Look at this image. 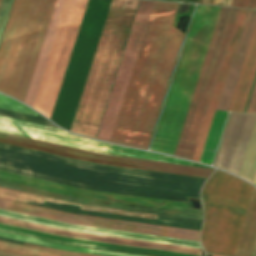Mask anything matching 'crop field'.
<instances>
[{
  "mask_svg": "<svg viewBox=\"0 0 256 256\" xmlns=\"http://www.w3.org/2000/svg\"><path fill=\"white\" fill-rule=\"evenodd\" d=\"M0 256H20V255H15V254H10V253L0 251Z\"/></svg>",
  "mask_w": 256,
  "mask_h": 256,
  "instance_id": "750c4746",
  "label": "crop field"
},
{
  "mask_svg": "<svg viewBox=\"0 0 256 256\" xmlns=\"http://www.w3.org/2000/svg\"><path fill=\"white\" fill-rule=\"evenodd\" d=\"M256 70V27L228 111L242 112Z\"/></svg>",
  "mask_w": 256,
  "mask_h": 256,
  "instance_id": "4a817a6b",
  "label": "crop field"
},
{
  "mask_svg": "<svg viewBox=\"0 0 256 256\" xmlns=\"http://www.w3.org/2000/svg\"><path fill=\"white\" fill-rule=\"evenodd\" d=\"M0 197L11 199V200H16V201H20L21 199H24V200L34 202L35 200H38V201L59 204V205H64V206H69V207H74V208H80V209L117 213V214L146 217V218H153V219H156L158 216V215H154V214H146V213H138V212H130V211H122V210L76 205V204L58 201V200H54V199H49V198H44V197L26 194V193H22V192H17V191H13V190H8V189H4V188H0ZM24 200H21V202L35 204V205L44 206V207H49V208L58 209V210H63V211L72 212V213L120 219V220H127V221H134V222H141V223H148V224H155V225H162V226H169V227H176V228H183V229H190V230H197V231H200L201 224H202V222H199V221L180 219V218H174V217H168V216H162V215H159L157 220H153V219L116 215V214H109V213H102V212H95V211L80 210V209H74V208L53 205V204H48V203H43V202H38V201H36L35 203H32V202H28V201H24Z\"/></svg>",
  "mask_w": 256,
  "mask_h": 256,
  "instance_id": "22f410ed",
  "label": "crop field"
},
{
  "mask_svg": "<svg viewBox=\"0 0 256 256\" xmlns=\"http://www.w3.org/2000/svg\"><path fill=\"white\" fill-rule=\"evenodd\" d=\"M0 209H5L9 211H14L18 213H23L27 215H32L36 217H41V218L73 224V225L89 226V227H96V228L112 229V230H119V231H127V232H135V233H142V234H150V235L199 241L198 239L199 232L197 231L78 215V214H72V213L17 203L13 201L4 200V199H0Z\"/></svg>",
  "mask_w": 256,
  "mask_h": 256,
  "instance_id": "28ad6ade",
  "label": "crop field"
},
{
  "mask_svg": "<svg viewBox=\"0 0 256 256\" xmlns=\"http://www.w3.org/2000/svg\"><path fill=\"white\" fill-rule=\"evenodd\" d=\"M0 250L15 253V254H20L24 256H70V255L56 254V253L37 250L33 248L23 247V246L6 243L2 241H0Z\"/></svg>",
  "mask_w": 256,
  "mask_h": 256,
  "instance_id": "dafd665d",
  "label": "crop field"
},
{
  "mask_svg": "<svg viewBox=\"0 0 256 256\" xmlns=\"http://www.w3.org/2000/svg\"><path fill=\"white\" fill-rule=\"evenodd\" d=\"M0 181L10 182L14 184H19L23 186H28L32 188L42 189L46 191H51L55 193H60L64 195L74 196L84 199L100 200L107 202L123 203L130 205L154 207L161 209L177 210L184 212L200 213L202 211L188 209L187 204L176 203L162 200H154L140 197H132L118 194H110L96 191L82 190L78 188L68 187L64 185H59L55 183L45 182L41 180H36L32 178L22 177L18 175L8 174L0 172Z\"/></svg>",
  "mask_w": 256,
  "mask_h": 256,
  "instance_id": "cbeb9de0",
  "label": "crop field"
},
{
  "mask_svg": "<svg viewBox=\"0 0 256 256\" xmlns=\"http://www.w3.org/2000/svg\"><path fill=\"white\" fill-rule=\"evenodd\" d=\"M0 132L23 136L45 142L55 143L77 149L87 150L106 155H114L128 158L166 162L191 166V162L168 158L138 150L128 149L119 146L102 144L90 141L75 135L68 134L60 129L28 123L15 119L0 116ZM0 133V142L32 148L45 152L69 156L96 163L117 165L138 169H146L160 172H168L189 176L207 178L213 170L201 169L188 166H180L166 163L128 159L114 156L100 155L87 151L77 150L55 144L45 143L23 137Z\"/></svg>",
  "mask_w": 256,
  "mask_h": 256,
  "instance_id": "34b2d1b8",
  "label": "crop field"
},
{
  "mask_svg": "<svg viewBox=\"0 0 256 256\" xmlns=\"http://www.w3.org/2000/svg\"><path fill=\"white\" fill-rule=\"evenodd\" d=\"M0 236L6 237V238H11V239H16V240H20V241L30 242V243H34V244H39V245H43V246L53 247V248H57V249H63V250H71V251H78V252H85V253L108 255V256H138V255L124 254V253H116V252H109V251H102V250H94V249L59 245V244H55V243L45 242V241H41V240L22 237V236L13 235V234L4 233V232H0Z\"/></svg>",
  "mask_w": 256,
  "mask_h": 256,
  "instance_id": "92a150f3",
  "label": "crop field"
},
{
  "mask_svg": "<svg viewBox=\"0 0 256 256\" xmlns=\"http://www.w3.org/2000/svg\"><path fill=\"white\" fill-rule=\"evenodd\" d=\"M0 171L88 190L186 202L205 180L105 166L0 144Z\"/></svg>",
  "mask_w": 256,
  "mask_h": 256,
  "instance_id": "8a807250",
  "label": "crop field"
},
{
  "mask_svg": "<svg viewBox=\"0 0 256 256\" xmlns=\"http://www.w3.org/2000/svg\"><path fill=\"white\" fill-rule=\"evenodd\" d=\"M253 186L216 170L201 197L205 220L201 241L205 252L235 256Z\"/></svg>",
  "mask_w": 256,
  "mask_h": 256,
  "instance_id": "d8731c3e",
  "label": "crop field"
},
{
  "mask_svg": "<svg viewBox=\"0 0 256 256\" xmlns=\"http://www.w3.org/2000/svg\"><path fill=\"white\" fill-rule=\"evenodd\" d=\"M0 107L5 108V109L14 110V111H19V112H24V113H28V114L37 115V113L33 112L32 110H30L26 106H24V105H22L18 102H15L11 99H8V98H6L2 95H0Z\"/></svg>",
  "mask_w": 256,
  "mask_h": 256,
  "instance_id": "a9b5d70f",
  "label": "crop field"
},
{
  "mask_svg": "<svg viewBox=\"0 0 256 256\" xmlns=\"http://www.w3.org/2000/svg\"><path fill=\"white\" fill-rule=\"evenodd\" d=\"M255 24L256 11L249 10L217 110H228Z\"/></svg>",
  "mask_w": 256,
  "mask_h": 256,
  "instance_id": "d9b57169",
  "label": "crop field"
},
{
  "mask_svg": "<svg viewBox=\"0 0 256 256\" xmlns=\"http://www.w3.org/2000/svg\"><path fill=\"white\" fill-rule=\"evenodd\" d=\"M0 240L6 241V242H11V243H16V244H20V245H26L25 242H20V241L5 239V238H0ZM27 246L38 248V249H43V250H47V251H52V252H56V253H62V254H70V255H77V256H100V255H93V254H85V253L57 250V249L43 247V246L29 244V243L27 244Z\"/></svg>",
  "mask_w": 256,
  "mask_h": 256,
  "instance_id": "4177f3b9",
  "label": "crop field"
},
{
  "mask_svg": "<svg viewBox=\"0 0 256 256\" xmlns=\"http://www.w3.org/2000/svg\"><path fill=\"white\" fill-rule=\"evenodd\" d=\"M0 186L17 189V190H21V191H26V192H31V193H35V194H40V195H44V196H49V197H53V198L63 199V200H67V201H72V202H76V203H82V204L119 208V209L133 210V211H141V212L170 215V216H177V217H184V218H192V219H199V220H202V217H203V215H200V214H192V213H184V212H177V211H169V210H161V209H154V208H146V207H138V206H130V205H123V204H115V203L78 199V198H74V197L64 196V195H60V194H55V193L46 192V191H42V190L32 189V188L23 187V186L14 185V184H9V183H5V182H0Z\"/></svg>",
  "mask_w": 256,
  "mask_h": 256,
  "instance_id": "733c2abd",
  "label": "crop field"
},
{
  "mask_svg": "<svg viewBox=\"0 0 256 256\" xmlns=\"http://www.w3.org/2000/svg\"><path fill=\"white\" fill-rule=\"evenodd\" d=\"M247 11L248 10H244V9L239 10L237 20H236V23H235V26H234V29H233V32L231 35V39H230V42H229V45H228V48H227V51L225 54V58H224V61H223V64H222V67H221V70L219 73V77H218V80H217V83H216V86H215V89L213 92V96H212V99H211V102H210V105H209V108L207 111V115H206L202 130H201V134H200V137H199L196 149H195V153H194V156L192 159L194 161H198V162L200 161L201 154H202V151H203V148L205 145V141H206V138H207V135L209 132V128H210V125H211V122L213 119V115H214V112H215V109H216V106H217V103H218V100H219V97H220V94H221V91L223 88V84H224V81H225V78H226V75H227V72H228V69H229L235 48H236V45H237V42L239 39V36H240V32H241Z\"/></svg>",
  "mask_w": 256,
  "mask_h": 256,
  "instance_id": "5142ce71",
  "label": "crop field"
},
{
  "mask_svg": "<svg viewBox=\"0 0 256 256\" xmlns=\"http://www.w3.org/2000/svg\"><path fill=\"white\" fill-rule=\"evenodd\" d=\"M178 5L154 3L112 142L147 148L184 35L172 26Z\"/></svg>",
  "mask_w": 256,
  "mask_h": 256,
  "instance_id": "ac0d7876",
  "label": "crop field"
},
{
  "mask_svg": "<svg viewBox=\"0 0 256 256\" xmlns=\"http://www.w3.org/2000/svg\"><path fill=\"white\" fill-rule=\"evenodd\" d=\"M227 112L216 111L202 154L201 163L211 165Z\"/></svg>",
  "mask_w": 256,
  "mask_h": 256,
  "instance_id": "214f88e0",
  "label": "crop field"
},
{
  "mask_svg": "<svg viewBox=\"0 0 256 256\" xmlns=\"http://www.w3.org/2000/svg\"><path fill=\"white\" fill-rule=\"evenodd\" d=\"M66 0H56L24 103L33 106ZM87 0H67L33 108L50 118Z\"/></svg>",
  "mask_w": 256,
  "mask_h": 256,
  "instance_id": "e52e79f7",
  "label": "crop field"
},
{
  "mask_svg": "<svg viewBox=\"0 0 256 256\" xmlns=\"http://www.w3.org/2000/svg\"><path fill=\"white\" fill-rule=\"evenodd\" d=\"M256 244V189L253 188L236 256H252Z\"/></svg>",
  "mask_w": 256,
  "mask_h": 256,
  "instance_id": "bc2a9ffb",
  "label": "crop field"
},
{
  "mask_svg": "<svg viewBox=\"0 0 256 256\" xmlns=\"http://www.w3.org/2000/svg\"><path fill=\"white\" fill-rule=\"evenodd\" d=\"M253 256H256V248H255V252H254V255Z\"/></svg>",
  "mask_w": 256,
  "mask_h": 256,
  "instance_id": "bd1437ed",
  "label": "crop field"
},
{
  "mask_svg": "<svg viewBox=\"0 0 256 256\" xmlns=\"http://www.w3.org/2000/svg\"><path fill=\"white\" fill-rule=\"evenodd\" d=\"M55 0H15L0 44V91L24 101Z\"/></svg>",
  "mask_w": 256,
  "mask_h": 256,
  "instance_id": "f4fd0767",
  "label": "crop field"
},
{
  "mask_svg": "<svg viewBox=\"0 0 256 256\" xmlns=\"http://www.w3.org/2000/svg\"><path fill=\"white\" fill-rule=\"evenodd\" d=\"M0 115L5 116V117H10V118H15V119H19V120H24V121H28V122H33V123H38V124H42V125L55 127L50 122H48L45 118L38 117V116L34 117V116L16 113V112H12V111H7V110H3V109H0Z\"/></svg>",
  "mask_w": 256,
  "mask_h": 256,
  "instance_id": "00972430",
  "label": "crop field"
},
{
  "mask_svg": "<svg viewBox=\"0 0 256 256\" xmlns=\"http://www.w3.org/2000/svg\"><path fill=\"white\" fill-rule=\"evenodd\" d=\"M13 0H0V38Z\"/></svg>",
  "mask_w": 256,
  "mask_h": 256,
  "instance_id": "730fd06b",
  "label": "crop field"
},
{
  "mask_svg": "<svg viewBox=\"0 0 256 256\" xmlns=\"http://www.w3.org/2000/svg\"><path fill=\"white\" fill-rule=\"evenodd\" d=\"M256 184V183H255Z\"/></svg>",
  "mask_w": 256,
  "mask_h": 256,
  "instance_id": "120bbe31",
  "label": "crop field"
},
{
  "mask_svg": "<svg viewBox=\"0 0 256 256\" xmlns=\"http://www.w3.org/2000/svg\"><path fill=\"white\" fill-rule=\"evenodd\" d=\"M221 8L197 5L151 150L174 154Z\"/></svg>",
  "mask_w": 256,
  "mask_h": 256,
  "instance_id": "412701ff",
  "label": "crop field"
},
{
  "mask_svg": "<svg viewBox=\"0 0 256 256\" xmlns=\"http://www.w3.org/2000/svg\"><path fill=\"white\" fill-rule=\"evenodd\" d=\"M138 1H112L71 132L95 137Z\"/></svg>",
  "mask_w": 256,
  "mask_h": 256,
  "instance_id": "dd49c442",
  "label": "crop field"
},
{
  "mask_svg": "<svg viewBox=\"0 0 256 256\" xmlns=\"http://www.w3.org/2000/svg\"><path fill=\"white\" fill-rule=\"evenodd\" d=\"M246 112L256 113V83Z\"/></svg>",
  "mask_w": 256,
  "mask_h": 256,
  "instance_id": "ae1a2a85",
  "label": "crop field"
},
{
  "mask_svg": "<svg viewBox=\"0 0 256 256\" xmlns=\"http://www.w3.org/2000/svg\"><path fill=\"white\" fill-rule=\"evenodd\" d=\"M0 223L21 227V228H26L30 230L40 231L44 233L54 234L58 236L69 237V238H77V239H84V240H92V241L152 248V249H159V250H167V251L182 252V253L197 254V255H200V252H201V250H198V249H191V248L65 231V230H60L56 228L46 227L42 225L32 224V223L18 221V220L4 218V217H0ZM2 224H0V230L32 236V237L41 238L45 240L55 241L59 243H65V244L80 245V246L109 249V250H116V251H123V252H131V253H138V254H145V255H152V256H197V255H189V254L129 247V246H122V245H114V244H107V243H99V242H92V241H84V240H77V239H69V238L58 237L54 235L44 234L40 232L30 231V230L11 227V226L2 225Z\"/></svg>",
  "mask_w": 256,
  "mask_h": 256,
  "instance_id": "3316defc",
  "label": "crop field"
},
{
  "mask_svg": "<svg viewBox=\"0 0 256 256\" xmlns=\"http://www.w3.org/2000/svg\"><path fill=\"white\" fill-rule=\"evenodd\" d=\"M231 7L256 9V0H233Z\"/></svg>",
  "mask_w": 256,
  "mask_h": 256,
  "instance_id": "eef30255",
  "label": "crop field"
},
{
  "mask_svg": "<svg viewBox=\"0 0 256 256\" xmlns=\"http://www.w3.org/2000/svg\"><path fill=\"white\" fill-rule=\"evenodd\" d=\"M255 80H256V73H255V77H254V80H253V83H252V86H251V89H250V92H249V95H248V98H247V102H246V105H245V108H244V111H243V112L246 111V108H247V105H248V102H249V98H250V95H251V92H252V89H253Z\"/></svg>",
  "mask_w": 256,
  "mask_h": 256,
  "instance_id": "d3111659",
  "label": "crop field"
},
{
  "mask_svg": "<svg viewBox=\"0 0 256 256\" xmlns=\"http://www.w3.org/2000/svg\"><path fill=\"white\" fill-rule=\"evenodd\" d=\"M154 2L141 0L124 50V54L113 84V88L97 134L98 139L110 140L131 71Z\"/></svg>",
  "mask_w": 256,
  "mask_h": 256,
  "instance_id": "d1516ede",
  "label": "crop field"
},
{
  "mask_svg": "<svg viewBox=\"0 0 256 256\" xmlns=\"http://www.w3.org/2000/svg\"><path fill=\"white\" fill-rule=\"evenodd\" d=\"M214 256H216V255H214Z\"/></svg>",
  "mask_w": 256,
  "mask_h": 256,
  "instance_id": "1d83c4d3",
  "label": "crop field"
},
{
  "mask_svg": "<svg viewBox=\"0 0 256 256\" xmlns=\"http://www.w3.org/2000/svg\"><path fill=\"white\" fill-rule=\"evenodd\" d=\"M239 9L222 8L175 151L192 159Z\"/></svg>",
  "mask_w": 256,
  "mask_h": 256,
  "instance_id": "5a996713",
  "label": "crop field"
}]
</instances>
